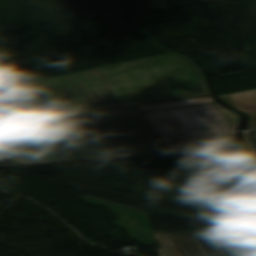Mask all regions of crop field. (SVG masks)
<instances>
[{
    "instance_id": "obj_1",
    "label": "crop field",
    "mask_w": 256,
    "mask_h": 256,
    "mask_svg": "<svg viewBox=\"0 0 256 256\" xmlns=\"http://www.w3.org/2000/svg\"><path fill=\"white\" fill-rule=\"evenodd\" d=\"M36 83L51 103L35 82H31L30 85L52 115L101 110L97 102L103 109H108L209 95L208 87L194 61L176 53L36 81Z\"/></svg>"
},
{
    "instance_id": "obj_2",
    "label": "crop field",
    "mask_w": 256,
    "mask_h": 256,
    "mask_svg": "<svg viewBox=\"0 0 256 256\" xmlns=\"http://www.w3.org/2000/svg\"><path fill=\"white\" fill-rule=\"evenodd\" d=\"M142 114L172 153L224 150L233 143L227 123L213 104Z\"/></svg>"
},
{
    "instance_id": "obj_3",
    "label": "crop field",
    "mask_w": 256,
    "mask_h": 256,
    "mask_svg": "<svg viewBox=\"0 0 256 256\" xmlns=\"http://www.w3.org/2000/svg\"><path fill=\"white\" fill-rule=\"evenodd\" d=\"M175 157L193 190L229 187L244 216L256 219V166L242 159L209 161L199 154Z\"/></svg>"
},
{
    "instance_id": "obj_4",
    "label": "crop field",
    "mask_w": 256,
    "mask_h": 256,
    "mask_svg": "<svg viewBox=\"0 0 256 256\" xmlns=\"http://www.w3.org/2000/svg\"><path fill=\"white\" fill-rule=\"evenodd\" d=\"M28 121L60 161L120 156L86 113Z\"/></svg>"
},
{
    "instance_id": "obj_5",
    "label": "crop field",
    "mask_w": 256,
    "mask_h": 256,
    "mask_svg": "<svg viewBox=\"0 0 256 256\" xmlns=\"http://www.w3.org/2000/svg\"><path fill=\"white\" fill-rule=\"evenodd\" d=\"M161 256H256V220L238 217L234 230L154 232Z\"/></svg>"
},
{
    "instance_id": "obj_6",
    "label": "crop field",
    "mask_w": 256,
    "mask_h": 256,
    "mask_svg": "<svg viewBox=\"0 0 256 256\" xmlns=\"http://www.w3.org/2000/svg\"><path fill=\"white\" fill-rule=\"evenodd\" d=\"M91 119L100 130L125 127L147 155L171 153L136 106L94 111Z\"/></svg>"
},
{
    "instance_id": "obj_7",
    "label": "crop field",
    "mask_w": 256,
    "mask_h": 256,
    "mask_svg": "<svg viewBox=\"0 0 256 256\" xmlns=\"http://www.w3.org/2000/svg\"><path fill=\"white\" fill-rule=\"evenodd\" d=\"M0 151L15 163L58 161L27 120L0 124Z\"/></svg>"
},
{
    "instance_id": "obj_8",
    "label": "crop field",
    "mask_w": 256,
    "mask_h": 256,
    "mask_svg": "<svg viewBox=\"0 0 256 256\" xmlns=\"http://www.w3.org/2000/svg\"><path fill=\"white\" fill-rule=\"evenodd\" d=\"M27 97H21L24 103L0 107V122L29 118L51 116L32 87L27 84L19 85Z\"/></svg>"
},
{
    "instance_id": "obj_9",
    "label": "crop field",
    "mask_w": 256,
    "mask_h": 256,
    "mask_svg": "<svg viewBox=\"0 0 256 256\" xmlns=\"http://www.w3.org/2000/svg\"><path fill=\"white\" fill-rule=\"evenodd\" d=\"M101 132L121 156L146 155L139 144L131 138L132 136L125 129Z\"/></svg>"
},
{
    "instance_id": "obj_10",
    "label": "crop field",
    "mask_w": 256,
    "mask_h": 256,
    "mask_svg": "<svg viewBox=\"0 0 256 256\" xmlns=\"http://www.w3.org/2000/svg\"><path fill=\"white\" fill-rule=\"evenodd\" d=\"M224 100L228 104L250 114L251 120L248 129L256 128V90L230 95Z\"/></svg>"
},
{
    "instance_id": "obj_11",
    "label": "crop field",
    "mask_w": 256,
    "mask_h": 256,
    "mask_svg": "<svg viewBox=\"0 0 256 256\" xmlns=\"http://www.w3.org/2000/svg\"><path fill=\"white\" fill-rule=\"evenodd\" d=\"M213 102H216V100L213 98V96H209V97H201V98H195V99L139 105V106H137V108L140 110V112H144V111L208 104V103H213Z\"/></svg>"
},
{
    "instance_id": "obj_12",
    "label": "crop field",
    "mask_w": 256,
    "mask_h": 256,
    "mask_svg": "<svg viewBox=\"0 0 256 256\" xmlns=\"http://www.w3.org/2000/svg\"><path fill=\"white\" fill-rule=\"evenodd\" d=\"M216 104L220 108V110L223 112V114L226 116V118L229 120V122L232 124V126L234 127V130H236L241 117L238 114L224 108L220 104L218 103Z\"/></svg>"
},
{
    "instance_id": "obj_13",
    "label": "crop field",
    "mask_w": 256,
    "mask_h": 256,
    "mask_svg": "<svg viewBox=\"0 0 256 256\" xmlns=\"http://www.w3.org/2000/svg\"><path fill=\"white\" fill-rule=\"evenodd\" d=\"M242 151L254 162H256V156L254 155L251 147L247 144L241 145Z\"/></svg>"
},
{
    "instance_id": "obj_14",
    "label": "crop field",
    "mask_w": 256,
    "mask_h": 256,
    "mask_svg": "<svg viewBox=\"0 0 256 256\" xmlns=\"http://www.w3.org/2000/svg\"><path fill=\"white\" fill-rule=\"evenodd\" d=\"M247 138L256 151V130L247 133Z\"/></svg>"
}]
</instances>
